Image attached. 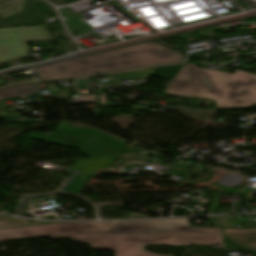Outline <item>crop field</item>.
<instances>
[{"label": "crop field", "instance_id": "1", "mask_svg": "<svg viewBox=\"0 0 256 256\" xmlns=\"http://www.w3.org/2000/svg\"><path fill=\"white\" fill-rule=\"evenodd\" d=\"M182 54L158 43L115 49L100 54L37 68L40 80L78 78L95 72L165 65L183 61Z\"/></svg>", "mask_w": 256, "mask_h": 256}, {"label": "crop field", "instance_id": "2", "mask_svg": "<svg viewBox=\"0 0 256 256\" xmlns=\"http://www.w3.org/2000/svg\"><path fill=\"white\" fill-rule=\"evenodd\" d=\"M30 138L69 147L80 148L82 154L90 157H102L145 149H127L124 142L92 128L69 126L61 122L56 131L45 135L31 131Z\"/></svg>", "mask_w": 256, "mask_h": 256}, {"label": "crop field", "instance_id": "3", "mask_svg": "<svg viewBox=\"0 0 256 256\" xmlns=\"http://www.w3.org/2000/svg\"><path fill=\"white\" fill-rule=\"evenodd\" d=\"M232 73L198 68L186 64L164 93L214 100L227 84Z\"/></svg>", "mask_w": 256, "mask_h": 256}, {"label": "crop field", "instance_id": "4", "mask_svg": "<svg viewBox=\"0 0 256 256\" xmlns=\"http://www.w3.org/2000/svg\"><path fill=\"white\" fill-rule=\"evenodd\" d=\"M116 224L118 223L88 222V223H71V224H59V225H45V226L29 227V228L6 229V230H0V242L7 241L9 239L106 232L108 229L112 228Z\"/></svg>", "mask_w": 256, "mask_h": 256}, {"label": "crop field", "instance_id": "5", "mask_svg": "<svg viewBox=\"0 0 256 256\" xmlns=\"http://www.w3.org/2000/svg\"><path fill=\"white\" fill-rule=\"evenodd\" d=\"M222 244L221 235L205 233H165L154 235H123V250L144 249V245L165 244L181 245H212Z\"/></svg>", "mask_w": 256, "mask_h": 256}, {"label": "crop field", "instance_id": "6", "mask_svg": "<svg viewBox=\"0 0 256 256\" xmlns=\"http://www.w3.org/2000/svg\"><path fill=\"white\" fill-rule=\"evenodd\" d=\"M52 39L42 26L0 29V63L29 56L26 40Z\"/></svg>", "mask_w": 256, "mask_h": 256}, {"label": "crop field", "instance_id": "7", "mask_svg": "<svg viewBox=\"0 0 256 256\" xmlns=\"http://www.w3.org/2000/svg\"><path fill=\"white\" fill-rule=\"evenodd\" d=\"M215 102L217 108L251 106L256 103V75L234 71Z\"/></svg>", "mask_w": 256, "mask_h": 256}, {"label": "crop field", "instance_id": "8", "mask_svg": "<svg viewBox=\"0 0 256 256\" xmlns=\"http://www.w3.org/2000/svg\"><path fill=\"white\" fill-rule=\"evenodd\" d=\"M164 232H206L222 234L220 229L190 228L188 219L121 222L108 233L153 234Z\"/></svg>", "mask_w": 256, "mask_h": 256}, {"label": "crop field", "instance_id": "9", "mask_svg": "<svg viewBox=\"0 0 256 256\" xmlns=\"http://www.w3.org/2000/svg\"><path fill=\"white\" fill-rule=\"evenodd\" d=\"M68 238L77 242L90 245L91 249L122 250V235L118 234H87L63 237H51V239Z\"/></svg>", "mask_w": 256, "mask_h": 256}, {"label": "crop field", "instance_id": "10", "mask_svg": "<svg viewBox=\"0 0 256 256\" xmlns=\"http://www.w3.org/2000/svg\"><path fill=\"white\" fill-rule=\"evenodd\" d=\"M224 232L243 246L256 250V230L224 229Z\"/></svg>", "mask_w": 256, "mask_h": 256}, {"label": "crop field", "instance_id": "11", "mask_svg": "<svg viewBox=\"0 0 256 256\" xmlns=\"http://www.w3.org/2000/svg\"><path fill=\"white\" fill-rule=\"evenodd\" d=\"M57 222H34L29 223L28 220L10 218L6 216L0 215V228H8V227H18V226H28V225H36V224H50Z\"/></svg>", "mask_w": 256, "mask_h": 256}, {"label": "crop field", "instance_id": "12", "mask_svg": "<svg viewBox=\"0 0 256 256\" xmlns=\"http://www.w3.org/2000/svg\"><path fill=\"white\" fill-rule=\"evenodd\" d=\"M27 0H18L0 7V15L2 18L19 13L23 10Z\"/></svg>", "mask_w": 256, "mask_h": 256}, {"label": "crop field", "instance_id": "13", "mask_svg": "<svg viewBox=\"0 0 256 256\" xmlns=\"http://www.w3.org/2000/svg\"><path fill=\"white\" fill-rule=\"evenodd\" d=\"M180 67L181 65L157 68L156 71L153 73V76L164 79H171Z\"/></svg>", "mask_w": 256, "mask_h": 256}, {"label": "crop field", "instance_id": "14", "mask_svg": "<svg viewBox=\"0 0 256 256\" xmlns=\"http://www.w3.org/2000/svg\"><path fill=\"white\" fill-rule=\"evenodd\" d=\"M114 256H169L149 253L145 250H134V251H114Z\"/></svg>", "mask_w": 256, "mask_h": 256}, {"label": "crop field", "instance_id": "15", "mask_svg": "<svg viewBox=\"0 0 256 256\" xmlns=\"http://www.w3.org/2000/svg\"><path fill=\"white\" fill-rule=\"evenodd\" d=\"M223 236H224V244H225V248L226 249H241V250H244V251L252 253V256H256V252L255 251L245 249V248L239 246L238 244L234 243L226 235H223Z\"/></svg>", "mask_w": 256, "mask_h": 256}, {"label": "crop field", "instance_id": "16", "mask_svg": "<svg viewBox=\"0 0 256 256\" xmlns=\"http://www.w3.org/2000/svg\"><path fill=\"white\" fill-rule=\"evenodd\" d=\"M223 228H234L228 216L217 217Z\"/></svg>", "mask_w": 256, "mask_h": 256}, {"label": "crop field", "instance_id": "17", "mask_svg": "<svg viewBox=\"0 0 256 256\" xmlns=\"http://www.w3.org/2000/svg\"><path fill=\"white\" fill-rule=\"evenodd\" d=\"M208 219L214 223V228H220L215 217H208Z\"/></svg>", "mask_w": 256, "mask_h": 256}, {"label": "crop field", "instance_id": "18", "mask_svg": "<svg viewBox=\"0 0 256 256\" xmlns=\"http://www.w3.org/2000/svg\"><path fill=\"white\" fill-rule=\"evenodd\" d=\"M2 1H5V0H0V2H2Z\"/></svg>", "mask_w": 256, "mask_h": 256}]
</instances>
